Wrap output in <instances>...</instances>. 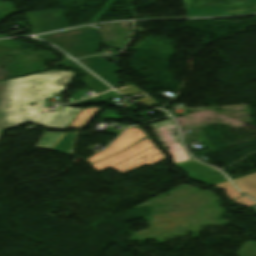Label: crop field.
Returning <instances> with one entry per match:
<instances>
[{
	"label": "crop field",
	"instance_id": "obj_1",
	"mask_svg": "<svg viewBox=\"0 0 256 256\" xmlns=\"http://www.w3.org/2000/svg\"><path fill=\"white\" fill-rule=\"evenodd\" d=\"M73 72L50 71L29 77L0 82V128L27 121L47 128H66L82 109L63 107L54 113H43L45 98L63 91ZM36 102L37 106H29Z\"/></svg>",
	"mask_w": 256,
	"mask_h": 256
},
{
	"label": "crop field",
	"instance_id": "obj_2",
	"mask_svg": "<svg viewBox=\"0 0 256 256\" xmlns=\"http://www.w3.org/2000/svg\"><path fill=\"white\" fill-rule=\"evenodd\" d=\"M142 157L146 158L143 159ZM163 159H165L164 154L147 137L132 146L130 149L114 155L104 161L92 164V166L97 171H102L112 167L118 170L120 173L124 174L140 165L147 164L151 166ZM130 166L133 167L121 171L122 169L128 168Z\"/></svg>",
	"mask_w": 256,
	"mask_h": 256
},
{
	"label": "crop field",
	"instance_id": "obj_3",
	"mask_svg": "<svg viewBox=\"0 0 256 256\" xmlns=\"http://www.w3.org/2000/svg\"><path fill=\"white\" fill-rule=\"evenodd\" d=\"M43 37L42 39L60 47L74 58L97 54L100 45V39L91 26L47 34Z\"/></svg>",
	"mask_w": 256,
	"mask_h": 256
},
{
	"label": "crop field",
	"instance_id": "obj_4",
	"mask_svg": "<svg viewBox=\"0 0 256 256\" xmlns=\"http://www.w3.org/2000/svg\"><path fill=\"white\" fill-rule=\"evenodd\" d=\"M189 17L256 12V0H184Z\"/></svg>",
	"mask_w": 256,
	"mask_h": 256
},
{
	"label": "crop field",
	"instance_id": "obj_5",
	"mask_svg": "<svg viewBox=\"0 0 256 256\" xmlns=\"http://www.w3.org/2000/svg\"><path fill=\"white\" fill-rule=\"evenodd\" d=\"M26 14L36 33L69 27L61 10Z\"/></svg>",
	"mask_w": 256,
	"mask_h": 256
},
{
	"label": "crop field",
	"instance_id": "obj_6",
	"mask_svg": "<svg viewBox=\"0 0 256 256\" xmlns=\"http://www.w3.org/2000/svg\"><path fill=\"white\" fill-rule=\"evenodd\" d=\"M78 61L111 86L118 85V77L115 72L120 71V69L112 63L102 60L98 56L79 59Z\"/></svg>",
	"mask_w": 256,
	"mask_h": 256
},
{
	"label": "crop field",
	"instance_id": "obj_7",
	"mask_svg": "<svg viewBox=\"0 0 256 256\" xmlns=\"http://www.w3.org/2000/svg\"><path fill=\"white\" fill-rule=\"evenodd\" d=\"M145 137L141 130H139L136 126L127 129L125 132L121 134V136L112 143L111 147L106 149L103 152L97 153L92 157L88 158L89 161L93 162L102 158H105L109 155H112L116 152H119L139 139Z\"/></svg>",
	"mask_w": 256,
	"mask_h": 256
},
{
	"label": "crop field",
	"instance_id": "obj_8",
	"mask_svg": "<svg viewBox=\"0 0 256 256\" xmlns=\"http://www.w3.org/2000/svg\"><path fill=\"white\" fill-rule=\"evenodd\" d=\"M63 67H71L72 69L78 70L84 74V77L82 78L86 87L90 90L96 92L97 94L109 90L110 88L107 87L103 82H101L99 79L93 77L88 71H86L84 68L76 64L75 62L71 61L70 59H67L58 65Z\"/></svg>",
	"mask_w": 256,
	"mask_h": 256
},
{
	"label": "crop field",
	"instance_id": "obj_9",
	"mask_svg": "<svg viewBox=\"0 0 256 256\" xmlns=\"http://www.w3.org/2000/svg\"><path fill=\"white\" fill-rule=\"evenodd\" d=\"M77 135L78 133H63L50 149L70 155L74 148Z\"/></svg>",
	"mask_w": 256,
	"mask_h": 256
},
{
	"label": "crop field",
	"instance_id": "obj_10",
	"mask_svg": "<svg viewBox=\"0 0 256 256\" xmlns=\"http://www.w3.org/2000/svg\"><path fill=\"white\" fill-rule=\"evenodd\" d=\"M233 182L245 194L256 199V173L233 179Z\"/></svg>",
	"mask_w": 256,
	"mask_h": 256
},
{
	"label": "crop field",
	"instance_id": "obj_11",
	"mask_svg": "<svg viewBox=\"0 0 256 256\" xmlns=\"http://www.w3.org/2000/svg\"><path fill=\"white\" fill-rule=\"evenodd\" d=\"M101 108H88L83 109L78 117L75 119L72 125L69 128H79L82 129L87 126L88 122L98 113Z\"/></svg>",
	"mask_w": 256,
	"mask_h": 256
},
{
	"label": "crop field",
	"instance_id": "obj_12",
	"mask_svg": "<svg viewBox=\"0 0 256 256\" xmlns=\"http://www.w3.org/2000/svg\"><path fill=\"white\" fill-rule=\"evenodd\" d=\"M61 134L62 133H48V132H45L44 136L39 141V143L36 145V147L49 149L52 146V144L59 138V136Z\"/></svg>",
	"mask_w": 256,
	"mask_h": 256
},
{
	"label": "crop field",
	"instance_id": "obj_13",
	"mask_svg": "<svg viewBox=\"0 0 256 256\" xmlns=\"http://www.w3.org/2000/svg\"><path fill=\"white\" fill-rule=\"evenodd\" d=\"M236 254L237 256H256V242L247 241Z\"/></svg>",
	"mask_w": 256,
	"mask_h": 256
},
{
	"label": "crop field",
	"instance_id": "obj_14",
	"mask_svg": "<svg viewBox=\"0 0 256 256\" xmlns=\"http://www.w3.org/2000/svg\"><path fill=\"white\" fill-rule=\"evenodd\" d=\"M16 12L15 7L13 6L12 2H3L0 1V20L3 19L5 16ZM7 36L0 34V37Z\"/></svg>",
	"mask_w": 256,
	"mask_h": 256
},
{
	"label": "crop field",
	"instance_id": "obj_15",
	"mask_svg": "<svg viewBox=\"0 0 256 256\" xmlns=\"http://www.w3.org/2000/svg\"><path fill=\"white\" fill-rule=\"evenodd\" d=\"M217 187H220L222 188L223 190L226 191V193L228 194L230 200H233L239 196H241V193L238 192L233 186L232 184L227 181V182H224V183H221V184H218V185H215Z\"/></svg>",
	"mask_w": 256,
	"mask_h": 256
},
{
	"label": "crop field",
	"instance_id": "obj_16",
	"mask_svg": "<svg viewBox=\"0 0 256 256\" xmlns=\"http://www.w3.org/2000/svg\"><path fill=\"white\" fill-rule=\"evenodd\" d=\"M19 46L10 40H0V51L4 50H18Z\"/></svg>",
	"mask_w": 256,
	"mask_h": 256
},
{
	"label": "crop field",
	"instance_id": "obj_17",
	"mask_svg": "<svg viewBox=\"0 0 256 256\" xmlns=\"http://www.w3.org/2000/svg\"><path fill=\"white\" fill-rule=\"evenodd\" d=\"M233 202L238 203L240 205H245L247 207L256 204L244 196H241L240 198L234 200Z\"/></svg>",
	"mask_w": 256,
	"mask_h": 256
}]
</instances>
